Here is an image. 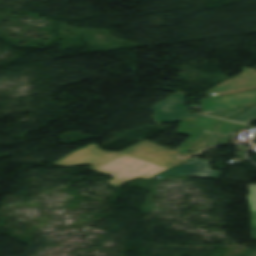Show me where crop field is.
<instances>
[{
  "instance_id": "obj_1",
  "label": "crop field",
  "mask_w": 256,
  "mask_h": 256,
  "mask_svg": "<svg viewBox=\"0 0 256 256\" xmlns=\"http://www.w3.org/2000/svg\"><path fill=\"white\" fill-rule=\"evenodd\" d=\"M154 115L158 124L179 121L200 116L199 112L191 114L184 104V94L176 93L154 106Z\"/></svg>"
},
{
  "instance_id": "obj_2",
  "label": "crop field",
  "mask_w": 256,
  "mask_h": 256,
  "mask_svg": "<svg viewBox=\"0 0 256 256\" xmlns=\"http://www.w3.org/2000/svg\"><path fill=\"white\" fill-rule=\"evenodd\" d=\"M256 104V89L204 100V114Z\"/></svg>"
},
{
  "instance_id": "obj_3",
  "label": "crop field",
  "mask_w": 256,
  "mask_h": 256,
  "mask_svg": "<svg viewBox=\"0 0 256 256\" xmlns=\"http://www.w3.org/2000/svg\"><path fill=\"white\" fill-rule=\"evenodd\" d=\"M256 70L244 68L243 73L237 77L223 82L209 90V96H217L249 88H256Z\"/></svg>"
},
{
  "instance_id": "obj_4",
  "label": "crop field",
  "mask_w": 256,
  "mask_h": 256,
  "mask_svg": "<svg viewBox=\"0 0 256 256\" xmlns=\"http://www.w3.org/2000/svg\"><path fill=\"white\" fill-rule=\"evenodd\" d=\"M228 120L249 124V123L256 120V106L251 107L246 112H244V113H242V114H240V115H238L234 118L228 119Z\"/></svg>"
},
{
  "instance_id": "obj_5",
  "label": "crop field",
  "mask_w": 256,
  "mask_h": 256,
  "mask_svg": "<svg viewBox=\"0 0 256 256\" xmlns=\"http://www.w3.org/2000/svg\"><path fill=\"white\" fill-rule=\"evenodd\" d=\"M251 194L248 196L252 211V228H256V185H249Z\"/></svg>"
},
{
  "instance_id": "obj_6",
  "label": "crop field",
  "mask_w": 256,
  "mask_h": 256,
  "mask_svg": "<svg viewBox=\"0 0 256 256\" xmlns=\"http://www.w3.org/2000/svg\"><path fill=\"white\" fill-rule=\"evenodd\" d=\"M246 108H248V107H246ZM246 108L233 109V110H228V111H223V112H218V113H213V114H208V115L226 119V118H229L233 115L240 113L241 111H243Z\"/></svg>"
},
{
  "instance_id": "obj_7",
  "label": "crop field",
  "mask_w": 256,
  "mask_h": 256,
  "mask_svg": "<svg viewBox=\"0 0 256 256\" xmlns=\"http://www.w3.org/2000/svg\"><path fill=\"white\" fill-rule=\"evenodd\" d=\"M253 240H256V229H252L251 231Z\"/></svg>"
},
{
  "instance_id": "obj_8",
  "label": "crop field",
  "mask_w": 256,
  "mask_h": 256,
  "mask_svg": "<svg viewBox=\"0 0 256 256\" xmlns=\"http://www.w3.org/2000/svg\"><path fill=\"white\" fill-rule=\"evenodd\" d=\"M251 256H256V253L251 254Z\"/></svg>"
}]
</instances>
